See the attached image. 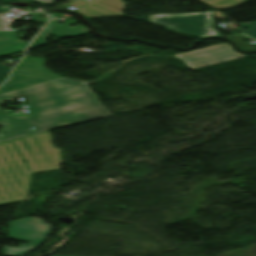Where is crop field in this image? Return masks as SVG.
<instances>
[{"mask_svg": "<svg viewBox=\"0 0 256 256\" xmlns=\"http://www.w3.org/2000/svg\"><path fill=\"white\" fill-rule=\"evenodd\" d=\"M20 30L0 31V56L8 55L25 49L28 43L19 40L16 34Z\"/></svg>", "mask_w": 256, "mask_h": 256, "instance_id": "d8731c3e", "label": "crop field"}, {"mask_svg": "<svg viewBox=\"0 0 256 256\" xmlns=\"http://www.w3.org/2000/svg\"><path fill=\"white\" fill-rule=\"evenodd\" d=\"M248 35L256 39V22H253V23H252Z\"/></svg>", "mask_w": 256, "mask_h": 256, "instance_id": "cbeb9de0", "label": "crop field"}, {"mask_svg": "<svg viewBox=\"0 0 256 256\" xmlns=\"http://www.w3.org/2000/svg\"><path fill=\"white\" fill-rule=\"evenodd\" d=\"M89 30L82 25L70 27L56 22H50L44 32H42L31 44L29 48L46 45L44 38L51 34L57 37H76L81 34L88 33Z\"/></svg>", "mask_w": 256, "mask_h": 256, "instance_id": "e52e79f7", "label": "crop field"}, {"mask_svg": "<svg viewBox=\"0 0 256 256\" xmlns=\"http://www.w3.org/2000/svg\"><path fill=\"white\" fill-rule=\"evenodd\" d=\"M88 83L59 78L0 94V103L12 102L18 95L27 97L31 111L30 117H19L9 116L8 110H0V125H3L0 142L111 116L97 101Z\"/></svg>", "mask_w": 256, "mask_h": 256, "instance_id": "8a807250", "label": "crop field"}, {"mask_svg": "<svg viewBox=\"0 0 256 256\" xmlns=\"http://www.w3.org/2000/svg\"><path fill=\"white\" fill-rule=\"evenodd\" d=\"M0 1H4V2H14V1H17V0H0ZM28 1L36 2V3H41V4H44V3H45V2H41V1H37V0H28ZM46 1H49V0H46Z\"/></svg>", "mask_w": 256, "mask_h": 256, "instance_id": "d9b57169", "label": "crop field"}, {"mask_svg": "<svg viewBox=\"0 0 256 256\" xmlns=\"http://www.w3.org/2000/svg\"><path fill=\"white\" fill-rule=\"evenodd\" d=\"M55 256H64V255H55Z\"/></svg>", "mask_w": 256, "mask_h": 256, "instance_id": "733c2abd", "label": "crop field"}, {"mask_svg": "<svg viewBox=\"0 0 256 256\" xmlns=\"http://www.w3.org/2000/svg\"><path fill=\"white\" fill-rule=\"evenodd\" d=\"M149 17L152 23L195 37L217 35L212 11Z\"/></svg>", "mask_w": 256, "mask_h": 256, "instance_id": "34b2d1b8", "label": "crop field"}, {"mask_svg": "<svg viewBox=\"0 0 256 256\" xmlns=\"http://www.w3.org/2000/svg\"><path fill=\"white\" fill-rule=\"evenodd\" d=\"M21 220L22 222L16 220L11 223V239L28 241L31 244H22L19 248L5 247V255L24 256L46 241L51 232V226L39 218L27 217Z\"/></svg>", "mask_w": 256, "mask_h": 256, "instance_id": "412701ff", "label": "crop field"}, {"mask_svg": "<svg viewBox=\"0 0 256 256\" xmlns=\"http://www.w3.org/2000/svg\"><path fill=\"white\" fill-rule=\"evenodd\" d=\"M8 9V6H0V10L2 11H7ZM0 29H5V19L0 18Z\"/></svg>", "mask_w": 256, "mask_h": 256, "instance_id": "22f410ed", "label": "crop field"}, {"mask_svg": "<svg viewBox=\"0 0 256 256\" xmlns=\"http://www.w3.org/2000/svg\"><path fill=\"white\" fill-rule=\"evenodd\" d=\"M126 5L120 0H93L87 3L82 0H76L68 4L65 8L70 6L78 8L75 12L82 14L86 18L96 17H115L123 16L122 11L126 9Z\"/></svg>", "mask_w": 256, "mask_h": 256, "instance_id": "dd49c442", "label": "crop field"}, {"mask_svg": "<svg viewBox=\"0 0 256 256\" xmlns=\"http://www.w3.org/2000/svg\"><path fill=\"white\" fill-rule=\"evenodd\" d=\"M230 50H233L232 47L230 45H226V46H222V47H218V48H214V49H210V50H206V51H202V52H198V53H194L186 56H180L179 58H181L186 63V62L206 58L210 55H214V54H218V53H222Z\"/></svg>", "mask_w": 256, "mask_h": 256, "instance_id": "3316defc", "label": "crop field"}, {"mask_svg": "<svg viewBox=\"0 0 256 256\" xmlns=\"http://www.w3.org/2000/svg\"><path fill=\"white\" fill-rule=\"evenodd\" d=\"M22 159L28 162L23 163ZM50 131L0 144V204L28 199L31 173L59 168Z\"/></svg>", "mask_w": 256, "mask_h": 256, "instance_id": "ac0d7876", "label": "crop field"}, {"mask_svg": "<svg viewBox=\"0 0 256 256\" xmlns=\"http://www.w3.org/2000/svg\"><path fill=\"white\" fill-rule=\"evenodd\" d=\"M43 59L26 56L14 69L10 79L0 88V93L59 78L43 68Z\"/></svg>", "mask_w": 256, "mask_h": 256, "instance_id": "f4fd0767", "label": "crop field"}, {"mask_svg": "<svg viewBox=\"0 0 256 256\" xmlns=\"http://www.w3.org/2000/svg\"><path fill=\"white\" fill-rule=\"evenodd\" d=\"M205 4L220 10H227L236 6H239L245 2L246 0H200Z\"/></svg>", "mask_w": 256, "mask_h": 256, "instance_id": "28ad6ade", "label": "crop field"}, {"mask_svg": "<svg viewBox=\"0 0 256 256\" xmlns=\"http://www.w3.org/2000/svg\"><path fill=\"white\" fill-rule=\"evenodd\" d=\"M9 71V69L0 65V84L6 79Z\"/></svg>", "mask_w": 256, "mask_h": 256, "instance_id": "d1516ede", "label": "crop field"}, {"mask_svg": "<svg viewBox=\"0 0 256 256\" xmlns=\"http://www.w3.org/2000/svg\"><path fill=\"white\" fill-rule=\"evenodd\" d=\"M244 56H246V55L240 54L234 50L231 52H226V53L210 56L207 59L187 63L186 65L189 66L191 69H195L198 67H202V66H206V65H210V64H214V63H218V62L241 58Z\"/></svg>", "mask_w": 256, "mask_h": 256, "instance_id": "5a996713", "label": "crop field"}, {"mask_svg": "<svg viewBox=\"0 0 256 256\" xmlns=\"http://www.w3.org/2000/svg\"><path fill=\"white\" fill-rule=\"evenodd\" d=\"M226 44H228V43L221 44V45H216V46H212V47H208V48H203V49H199V50H195V51H190V52L178 54V55H176V56L186 55V54H190V53H194V52H198V51H202V50H206V49H210V48H214V47H218V46H222V45H226Z\"/></svg>", "mask_w": 256, "mask_h": 256, "instance_id": "5142ce71", "label": "crop field"}]
</instances>
